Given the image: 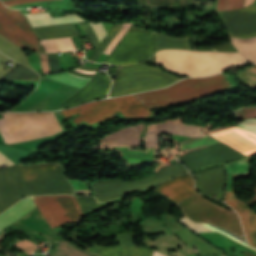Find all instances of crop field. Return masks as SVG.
Instances as JSON below:
<instances>
[{"instance_id": "750c4746", "label": "crop field", "mask_w": 256, "mask_h": 256, "mask_svg": "<svg viewBox=\"0 0 256 256\" xmlns=\"http://www.w3.org/2000/svg\"><path fill=\"white\" fill-rule=\"evenodd\" d=\"M71 243L68 241H60L53 253V256H96L94 254L84 252L82 249Z\"/></svg>"}, {"instance_id": "00972430", "label": "crop field", "mask_w": 256, "mask_h": 256, "mask_svg": "<svg viewBox=\"0 0 256 256\" xmlns=\"http://www.w3.org/2000/svg\"><path fill=\"white\" fill-rule=\"evenodd\" d=\"M33 30L40 40L67 36H78L72 24L35 28Z\"/></svg>"}, {"instance_id": "28ad6ade", "label": "crop field", "mask_w": 256, "mask_h": 256, "mask_svg": "<svg viewBox=\"0 0 256 256\" xmlns=\"http://www.w3.org/2000/svg\"><path fill=\"white\" fill-rule=\"evenodd\" d=\"M246 157L229 146L219 142L194 151L178 159L191 171L215 164H224Z\"/></svg>"}, {"instance_id": "dd49c442", "label": "crop field", "mask_w": 256, "mask_h": 256, "mask_svg": "<svg viewBox=\"0 0 256 256\" xmlns=\"http://www.w3.org/2000/svg\"><path fill=\"white\" fill-rule=\"evenodd\" d=\"M145 65L122 67L110 90V97L132 93ZM179 80V77L146 65L133 93L161 88Z\"/></svg>"}, {"instance_id": "425ffa30", "label": "crop field", "mask_w": 256, "mask_h": 256, "mask_svg": "<svg viewBox=\"0 0 256 256\" xmlns=\"http://www.w3.org/2000/svg\"><path fill=\"white\" fill-rule=\"evenodd\" d=\"M254 1L255 0H245L244 7L253 4Z\"/></svg>"}, {"instance_id": "3316defc", "label": "crop field", "mask_w": 256, "mask_h": 256, "mask_svg": "<svg viewBox=\"0 0 256 256\" xmlns=\"http://www.w3.org/2000/svg\"><path fill=\"white\" fill-rule=\"evenodd\" d=\"M51 227L66 222L79 221L83 216L74 198L69 195L31 197Z\"/></svg>"}, {"instance_id": "4a817a6b", "label": "crop field", "mask_w": 256, "mask_h": 256, "mask_svg": "<svg viewBox=\"0 0 256 256\" xmlns=\"http://www.w3.org/2000/svg\"><path fill=\"white\" fill-rule=\"evenodd\" d=\"M144 127L142 124L132 127H127L116 133L102 138L104 147H117V146H135L139 145Z\"/></svg>"}, {"instance_id": "92a150f3", "label": "crop field", "mask_w": 256, "mask_h": 256, "mask_svg": "<svg viewBox=\"0 0 256 256\" xmlns=\"http://www.w3.org/2000/svg\"><path fill=\"white\" fill-rule=\"evenodd\" d=\"M34 207L36 206L33 200L28 197L8 209L6 212L0 215V231L29 212Z\"/></svg>"}, {"instance_id": "120bbe31", "label": "crop field", "mask_w": 256, "mask_h": 256, "mask_svg": "<svg viewBox=\"0 0 256 256\" xmlns=\"http://www.w3.org/2000/svg\"><path fill=\"white\" fill-rule=\"evenodd\" d=\"M5 78L33 80V81L39 80V76L37 74H35L33 71L24 67L21 64L17 68H15L9 75H7Z\"/></svg>"}, {"instance_id": "5142ce71", "label": "crop field", "mask_w": 256, "mask_h": 256, "mask_svg": "<svg viewBox=\"0 0 256 256\" xmlns=\"http://www.w3.org/2000/svg\"><path fill=\"white\" fill-rule=\"evenodd\" d=\"M211 136L248 155L256 152V134L241 128H230Z\"/></svg>"}, {"instance_id": "b80d0937", "label": "crop field", "mask_w": 256, "mask_h": 256, "mask_svg": "<svg viewBox=\"0 0 256 256\" xmlns=\"http://www.w3.org/2000/svg\"><path fill=\"white\" fill-rule=\"evenodd\" d=\"M0 9L4 12H6L7 14L11 15L12 17H14L15 19L21 21V20H25L24 16L20 13L19 10H10L8 8H6L2 2L0 1Z\"/></svg>"}, {"instance_id": "73cf0c24", "label": "crop field", "mask_w": 256, "mask_h": 256, "mask_svg": "<svg viewBox=\"0 0 256 256\" xmlns=\"http://www.w3.org/2000/svg\"><path fill=\"white\" fill-rule=\"evenodd\" d=\"M153 256H165V255H163V254H161V253H159V252L154 250Z\"/></svg>"}, {"instance_id": "412701ff", "label": "crop field", "mask_w": 256, "mask_h": 256, "mask_svg": "<svg viewBox=\"0 0 256 256\" xmlns=\"http://www.w3.org/2000/svg\"><path fill=\"white\" fill-rule=\"evenodd\" d=\"M230 87L222 73L203 78H187L165 89L133 94L149 109L183 103L189 99L200 97Z\"/></svg>"}, {"instance_id": "d8731c3e", "label": "crop field", "mask_w": 256, "mask_h": 256, "mask_svg": "<svg viewBox=\"0 0 256 256\" xmlns=\"http://www.w3.org/2000/svg\"><path fill=\"white\" fill-rule=\"evenodd\" d=\"M176 204L194 222L216 224L243 236L239 218L233 210L221 208L197 193Z\"/></svg>"}, {"instance_id": "d9b57169", "label": "crop field", "mask_w": 256, "mask_h": 256, "mask_svg": "<svg viewBox=\"0 0 256 256\" xmlns=\"http://www.w3.org/2000/svg\"><path fill=\"white\" fill-rule=\"evenodd\" d=\"M193 176L196 180V190L202 195L217 193V198H223L226 177L221 166Z\"/></svg>"}, {"instance_id": "bd1437ed", "label": "crop field", "mask_w": 256, "mask_h": 256, "mask_svg": "<svg viewBox=\"0 0 256 256\" xmlns=\"http://www.w3.org/2000/svg\"><path fill=\"white\" fill-rule=\"evenodd\" d=\"M44 77H47L49 79H52L64 84L80 87V88H83L85 84L91 80V79L77 77L68 73H60V74L49 75Z\"/></svg>"}, {"instance_id": "c035e120", "label": "crop field", "mask_w": 256, "mask_h": 256, "mask_svg": "<svg viewBox=\"0 0 256 256\" xmlns=\"http://www.w3.org/2000/svg\"><path fill=\"white\" fill-rule=\"evenodd\" d=\"M48 58H49V68L51 71L61 70L59 67L58 54H48Z\"/></svg>"}, {"instance_id": "214f88e0", "label": "crop field", "mask_w": 256, "mask_h": 256, "mask_svg": "<svg viewBox=\"0 0 256 256\" xmlns=\"http://www.w3.org/2000/svg\"><path fill=\"white\" fill-rule=\"evenodd\" d=\"M157 131H145V146L158 149V132L165 131L171 133L184 134L194 137L203 136L204 133L181 124L164 122L160 124H156Z\"/></svg>"}, {"instance_id": "5866460e", "label": "crop field", "mask_w": 256, "mask_h": 256, "mask_svg": "<svg viewBox=\"0 0 256 256\" xmlns=\"http://www.w3.org/2000/svg\"><path fill=\"white\" fill-rule=\"evenodd\" d=\"M243 0H218L217 11L233 10L242 7Z\"/></svg>"}, {"instance_id": "ae1a2a85", "label": "crop field", "mask_w": 256, "mask_h": 256, "mask_svg": "<svg viewBox=\"0 0 256 256\" xmlns=\"http://www.w3.org/2000/svg\"><path fill=\"white\" fill-rule=\"evenodd\" d=\"M228 174L226 193H235L234 176L248 175L246 159L225 165Z\"/></svg>"}, {"instance_id": "e1f06a70", "label": "crop field", "mask_w": 256, "mask_h": 256, "mask_svg": "<svg viewBox=\"0 0 256 256\" xmlns=\"http://www.w3.org/2000/svg\"><path fill=\"white\" fill-rule=\"evenodd\" d=\"M239 120L256 118V107H243L234 110Z\"/></svg>"}, {"instance_id": "89e229c0", "label": "crop field", "mask_w": 256, "mask_h": 256, "mask_svg": "<svg viewBox=\"0 0 256 256\" xmlns=\"http://www.w3.org/2000/svg\"><path fill=\"white\" fill-rule=\"evenodd\" d=\"M125 24H127V23H124L123 26H124ZM123 26H122V27H123ZM121 29H122V28H121ZM109 53H110V52H109Z\"/></svg>"}, {"instance_id": "d1516ede", "label": "crop field", "mask_w": 256, "mask_h": 256, "mask_svg": "<svg viewBox=\"0 0 256 256\" xmlns=\"http://www.w3.org/2000/svg\"><path fill=\"white\" fill-rule=\"evenodd\" d=\"M31 28L27 20L18 22L0 10L1 35L19 47L43 52Z\"/></svg>"}, {"instance_id": "8a807250", "label": "crop field", "mask_w": 256, "mask_h": 256, "mask_svg": "<svg viewBox=\"0 0 256 256\" xmlns=\"http://www.w3.org/2000/svg\"><path fill=\"white\" fill-rule=\"evenodd\" d=\"M65 193L72 190L58 165L22 167L19 163L0 169V214L29 195Z\"/></svg>"}, {"instance_id": "5d738f31", "label": "crop field", "mask_w": 256, "mask_h": 256, "mask_svg": "<svg viewBox=\"0 0 256 256\" xmlns=\"http://www.w3.org/2000/svg\"><path fill=\"white\" fill-rule=\"evenodd\" d=\"M14 163H12L10 160H8L5 156H3L0 153V168L1 167H6V166H10L13 165Z\"/></svg>"}, {"instance_id": "b54c1fbb", "label": "crop field", "mask_w": 256, "mask_h": 256, "mask_svg": "<svg viewBox=\"0 0 256 256\" xmlns=\"http://www.w3.org/2000/svg\"><path fill=\"white\" fill-rule=\"evenodd\" d=\"M37 1H47V0H5V1H3V3L6 6L10 7V6H14V5L37 2Z\"/></svg>"}, {"instance_id": "f4fd0767", "label": "crop field", "mask_w": 256, "mask_h": 256, "mask_svg": "<svg viewBox=\"0 0 256 256\" xmlns=\"http://www.w3.org/2000/svg\"><path fill=\"white\" fill-rule=\"evenodd\" d=\"M125 117H145L154 115L143 106L133 95L86 103L80 107L61 111L64 118L79 113L73 121L77 124L86 121L90 124L109 119L118 111ZM89 124V125H90Z\"/></svg>"}, {"instance_id": "d23c7cc5", "label": "crop field", "mask_w": 256, "mask_h": 256, "mask_svg": "<svg viewBox=\"0 0 256 256\" xmlns=\"http://www.w3.org/2000/svg\"><path fill=\"white\" fill-rule=\"evenodd\" d=\"M255 195L253 198L250 199L251 204H256V186L254 188Z\"/></svg>"}, {"instance_id": "03da06ac", "label": "crop field", "mask_w": 256, "mask_h": 256, "mask_svg": "<svg viewBox=\"0 0 256 256\" xmlns=\"http://www.w3.org/2000/svg\"><path fill=\"white\" fill-rule=\"evenodd\" d=\"M96 34L98 35L100 41L104 39V37L107 35L104 28L102 27L101 23L93 24L90 23Z\"/></svg>"}, {"instance_id": "eef30255", "label": "crop field", "mask_w": 256, "mask_h": 256, "mask_svg": "<svg viewBox=\"0 0 256 256\" xmlns=\"http://www.w3.org/2000/svg\"><path fill=\"white\" fill-rule=\"evenodd\" d=\"M230 39L239 52H242L251 63H256V37L249 39Z\"/></svg>"}, {"instance_id": "dbb93151", "label": "crop field", "mask_w": 256, "mask_h": 256, "mask_svg": "<svg viewBox=\"0 0 256 256\" xmlns=\"http://www.w3.org/2000/svg\"><path fill=\"white\" fill-rule=\"evenodd\" d=\"M256 67V65H254Z\"/></svg>"}, {"instance_id": "dafd665d", "label": "crop field", "mask_w": 256, "mask_h": 256, "mask_svg": "<svg viewBox=\"0 0 256 256\" xmlns=\"http://www.w3.org/2000/svg\"><path fill=\"white\" fill-rule=\"evenodd\" d=\"M32 27L37 26H47L51 24H63L69 22H80L83 21L77 15H69L61 18L51 19L48 13H38V14H25Z\"/></svg>"}, {"instance_id": "4177f3b9", "label": "crop field", "mask_w": 256, "mask_h": 256, "mask_svg": "<svg viewBox=\"0 0 256 256\" xmlns=\"http://www.w3.org/2000/svg\"><path fill=\"white\" fill-rule=\"evenodd\" d=\"M125 256H152V249L134 246V233L117 235Z\"/></svg>"}, {"instance_id": "1d83c4d3", "label": "crop field", "mask_w": 256, "mask_h": 256, "mask_svg": "<svg viewBox=\"0 0 256 256\" xmlns=\"http://www.w3.org/2000/svg\"><path fill=\"white\" fill-rule=\"evenodd\" d=\"M122 24H114L111 30L109 31L108 35L105 37V39L100 43V45L97 47L96 51L93 53V55L88 59V61L96 62L97 59L100 57L101 53L104 51V49L109 45V43L114 39V37L117 35L118 31L120 30Z\"/></svg>"}, {"instance_id": "ac0d7876", "label": "crop field", "mask_w": 256, "mask_h": 256, "mask_svg": "<svg viewBox=\"0 0 256 256\" xmlns=\"http://www.w3.org/2000/svg\"><path fill=\"white\" fill-rule=\"evenodd\" d=\"M240 53L160 50L156 53V64L179 75L203 76L247 64Z\"/></svg>"}, {"instance_id": "cbeb9de0", "label": "crop field", "mask_w": 256, "mask_h": 256, "mask_svg": "<svg viewBox=\"0 0 256 256\" xmlns=\"http://www.w3.org/2000/svg\"><path fill=\"white\" fill-rule=\"evenodd\" d=\"M75 74L77 76L90 78L93 77L92 80L87 83V85L79 92L78 95L73 97L72 99L68 100L61 106L60 108H65L68 106L80 104L84 101L103 97L104 94L108 93V88L110 86L111 80L109 76L102 75V74H96V75H84L81 73H77L74 71L68 72Z\"/></svg>"}, {"instance_id": "e52e79f7", "label": "crop field", "mask_w": 256, "mask_h": 256, "mask_svg": "<svg viewBox=\"0 0 256 256\" xmlns=\"http://www.w3.org/2000/svg\"><path fill=\"white\" fill-rule=\"evenodd\" d=\"M155 174L146 178L125 182L116 179L92 182L91 185L100 204L109 203L128 193L152 186L160 181L173 178L188 170L179 161L156 169ZM119 199V198H118Z\"/></svg>"}, {"instance_id": "730fd06b", "label": "crop field", "mask_w": 256, "mask_h": 256, "mask_svg": "<svg viewBox=\"0 0 256 256\" xmlns=\"http://www.w3.org/2000/svg\"><path fill=\"white\" fill-rule=\"evenodd\" d=\"M165 48H182L189 49V37L174 38L163 34L156 33L155 50Z\"/></svg>"}, {"instance_id": "1f2cbd36", "label": "crop field", "mask_w": 256, "mask_h": 256, "mask_svg": "<svg viewBox=\"0 0 256 256\" xmlns=\"http://www.w3.org/2000/svg\"><path fill=\"white\" fill-rule=\"evenodd\" d=\"M77 69H78V68H77ZM77 69H75V70H77ZM75 70H74V71H75ZM94 73H95V71H94ZM94 73H93V74H94Z\"/></svg>"}, {"instance_id": "bc2a9ffb", "label": "crop field", "mask_w": 256, "mask_h": 256, "mask_svg": "<svg viewBox=\"0 0 256 256\" xmlns=\"http://www.w3.org/2000/svg\"><path fill=\"white\" fill-rule=\"evenodd\" d=\"M226 201L238 211L242 218L249 243L256 246V213L251 207L239 201L235 194H227Z\"/></svg>"}, {"instance_id": "c21b1889", "label": "crop field", "mask_w": 256, "mask_h": 256, "mask_svg": "<svg viewBox=\"0 0 256 256\" xmlns=\"http://www.w3.org/2000/svg\"><path fill=\"white\" fill-rule=\"evenodd\" d=\"M237 127L248 129L256 133V119H247L240 123Z\"/></svg>"}, {"instance_id": "733c2abd", "label": "crop field", "mask_w": 256, "mask_h": 256, "mask_svg": "<svg viewBox=\"0 0 256 256\" xmlns=\"http://www.w3.org/2000/svg\"><path fill=\"white\" fill-rule=\"evenodd\" d=\"M194 180L188 175L180 176L158 185L154 190L164 193L175 203L196 193Z\"/></svg>"}, {"instance_id": "0bd39190", "label": "crop field", "mask_w": 256, "mask_h": 256, "mask_svg": "<svg viewBox=\"0 0 256 256\" xmlns=\"http://www.w3.org/2000/svg\"><path fill=\"white\" fill-rule=\"evenodd\" d=\"M83 30L86 32L87 36L89 37L94 49H96V47L99 45V40L95 34V32L93 31V29L91 28V26L89 25V23H83V24H79Z\"/></svg>"}, {"instance_id": "22f410ed", "label": "crop field", "mask_w": 256, "mask_h": 256, "mask_svg": "<svg viewBox=\"0 0 256 256\" xmlns=\"http://www.w3.org/2000/svg\"><path fill=\"white\" fill-rule=\"evenodd\" d=\"M220 13L229 36L247 38L256 35V5Z\"/></svg>"}, {"instance_id": "d32e631a", "label": "crop field", "mask_w": 256, "mask_h": 256, "mask_svg": "<svg viewBox=\"0 0 256 256\" xmlns=\"http://www.w3.org/2000/svg\"><path fill=\"white\" fill-rule=\"evenodd\" d=\"M89 251L101 256H123L121 246L103 247L94 244Z\"/></svg>"}, {"instance_id": "028f5c9d", "label": "crop field", "mask_w": 256, "mask_h": 256, "mask_svg": "<svg viewBox=\"0 0 256 256\" xmlns=\"http://www.w3.org/2000/svg\"><path fill=\"white\" fill-rule=\"evenodd\" d=\"M82 211H87L99 207L96 197H76Z\"/></svg>"}, {"instance_id": "25e5ab78", "label": "crop field", "mask_w": 256, "mask_h": 256, "mask_svg": "<svg viewBox=\"0 0 256 256\" xmlns=\"http://www.w3.org/2000/svg\"><path fill=\"white\" fill-rule=\"evenodd\" d=\"M244 256H256V254L244 251Z\"/></svg>"}, {"instance_id": "5a996713", "label": "crop field", "mask_w": 256, "mask_h": 256, "mask_svg": "<svg viewBox=\"0 0 256 256\" xmlns=\"http://www.w3.org/2000/svg\"><path fill=\"white\" fill-rule=\"evenodd\" d=\"M155 33L128 30L104 62L114 65L138 63L154 53Z\"/></svg>"}, {"instance_id": "a9b5d70f", "label": "crop field", "mask_w": 256, "mask_h": 256, "mask_svg": "<svg viewBox=\"0 0 256 256\" xmlns=\"http://www.w3.org/2000/svg\"><path fill=\"white\" fill-rule=\"evenodd\" d=\"M179 220L182 221L185 226H187L188 228H190L191 230H193L195 232H215V231H217V232H219V233H221V234H223V235H225V236H227V237H229V238H231V239H233V240H235V241H237V242H239V243H241V244H243L245 246H248L245 243L243 238H241V237H239V236H237V235H235V234H233V233H231V232H229V231H227V230H225V229H223V228H221L219 226L211 225V224H205L206 226H208V227L212 228L213 230H215V231H213L212 229H210V228L206 227L205 225H203L204 223L203 224H201V223H194L190 219L186 218V216L180 218Z\"/></svg>"}, {"instance_id": "d3111659", "label": "crop field", "mask_w": 256, "mask_h": 256, "mask_svg": "<svg viewBox=\"0 0 256 256\" xmlns=\"http://www.w3.org/2000/svg\"><path fill=\"white\" fill-rule=\"evenodd\" d=\"M45 53L66 52L76 50L71 38L40 41Z\"/></svg>"}, {"instance_id": "34b2d1b8", "label": "crop field", "mask_w": 256, "mask_h": 256, "mask_svg": "<svg viewBox=\"0 0 256 256\" xmlns=\"http://www.w3.org/2000/svg\"><path fill=\"white\" fill-rule=\"evenodd\" d=\"M35 142L62 132L53 112L20 113ZM19 113H3L0 119V143L15 145L34 142Z\"/></svg>"}]
</instances>
